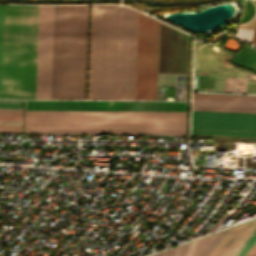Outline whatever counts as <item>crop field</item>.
I'll use <instances>...</instances> for the list:
<instances>
[{
	"instance_id": "obj_2",
	"label": "crop field",
	"mask_w": 256,
	"mask_h": 256,
	"mask_svg": "<svg viewBox=\"0 0 256 256\" xmlns=\"http://www.w3.org/2000/svg\"><path fill=\"white\" fill-rule=\"evenodd\" d=\"M88 5H55L51 99H85Z\"/></svg>"
},
{
	"instance_id": "obj_18",
	"label": "crop field",
	"mask_w": 256,
	"mask_h": 256,
	"mask_svg": "<svg viewBox=\"0 0 256 256\" xmlns=\"http://www.w3.org/2000/svg\"><path fill=\"white\" fill-rule=\"evenodd\" d=\"M23 101L0 100V109L22 110Z\"/></svg>"
},
{
	"instance_id": "obj_21",
	"label": "crop field",
	"mask_w": 256,
	"mask_h": 256,
	"mask_svg": "<svg viewBox=\"0 0 256 256\" xmlns=\"http://www.w3.org/2000/svg\"><path fill=\"white\" fill-rule=\"evenodd\" d=\"M225 231L226 230L220 232L199 256H205L213 248V246L217 243V241L220 239V237L224 234Z\"/></svg>"
},
{
	"instance_id": "obj_23",
	"label": "crop field",
	"mask_w": 256,
	"mask_h": 256,
	"mask_svg": "<svg viewBox=\"0 0 256 256\" xmlns=\"http://www.w3.org/2000/svg\"><path fill=\"white\" fill-rule=\"evenodd\" d=\"M225 217H226V215L223 214L222 217L218 219V222L214 223V224L211 226V228H210L206 233H208V232L214 230V229L222 222V220H223Z\"/></svg>"
},
{
	"instance_id": "obj_19",
	"label": "crop field",
	"mask_w": 256,
	"mask_h": 256,
	"mask_svg": "<svg viewBox=\"0 0 256 256\" xmlns=\"http://www.w3.org/2000/svg\"><path fill=\"white\" fill-rule=\"evenodd\" d=\"M0 124L22 125V118L0 117Z\"/></svg>"
},
{
	"instance_id": "obj_8",
	"label": "crop field",
	"mask_w": 256,
	"mask_h": 256,
	"mask_svg": "<svg viewBox=\"0 0 256 256\" xmlns=\"http://www.w3.org/2000/svg\"><path fill=\"white\" fill-rule=\"evenodd\" d=\"M191 133L256 136V114L192 111Z\"/></svg>"
},
{
	"instance_id": "obj_15",
	"label": "crop field",
	"mask_w": 256,
	"mask_h": 256,
	"mask_svg": "<svg viewBox=\"0 0 256 256\" xmlns=\"http://www.w3.org/2000/svg\"><path fill=\"white\" fill-rule=\"evenodd\" d=\"M193 241L187 244H184L182 246H179L177 248L169 249L163 253L154 255V256H184L192 247L193 245L197 242Z\"/></svg>"
},
{
	"instance_id": "obj_4",
	"label": "crop field",
	"mask_w": 256,
	"mask_h": 256,
	"mask_svg": "<svg viewBox=\"0 0 256 256\" xmlns=\"http://www.w3.org/2000/svg\"><path fill=\"white\" fill-rule=\"evenodd\" d=\"M25 122L187 123V112L25 111Z\"/></svg>"
},
{
	"instance_id": "obj_9",
	"label": "crop field",
	"mask_w": 256,
	"mask_h": 256,
	"mask_svg": "<svg viewBox=\"0 0 256 256\" xmlns=\"http://www.w3.org/2000/svg\"><path fill=\"white\" fill-rule=\"evenodd\" d=\"M54 5H39L36 99H50Z\"/></svg>"
},
{
	"instance_id": "obj_16",
	"label": "crop field",
	"mask_w": 256,
	"mask_h": 256,
	"mask_svg": "<svg viewBox=\"0 0 256 256\" xmlns=\"http://www.w3.org/2000/svg\"><path fill=\"white\" fill-rule=\"evenodd\" d=\"M217 234L200 239L196 245L186 254V256H198Z\"/></svg>"
},
{
	"instance_id": "obj_10",
	"label": "crop field",
	"mask_w": 256,
	"mask_h": 256,
	"mask_svg": "<svg viewBox=\"0 0 256 256\" xmlns=\"http://www.w3.org/2000/svg\"><path fill=\"white\" fill-rule=\"evenodd\" d=\"M256 229V220L229 228L206 256H233Z\"/></svg>"
},
{
	"instance_id": "obj_12",
	"label": "crop field",
	"mask_w": 256,
	"mask_h": 256,
	"mask_svg": "<svg viewBox=\"0 0 256 256\" xmlns=\"http://www.w3.org/2000/svg\"><path fill=\"white\" fill-rule=\"evenodd\" d=\"M24 133L53 134H156L186 136V130L24 129Z\"/></svg>"
},
{
	"instance_id": "obj_1",
	"label": "crop field",
	"mask_w": 256,
	"mask_h": 256,
	"mask_svg": "<svg viewBox=\"0 0 256 256\" xmlns=\"http://www.w3.org/2000/svg\"><path fill=\"white\" fill-rule=\"evenodd\" d=\"M38 5H0V98L35 99Z\"/></svg>"
},
{
	"instance_id": "obj_13",
	"label": "crop field",
	"mask_w": 256,
	"mask_h": 256,
	"mask_svg": "<svg viewBox=\"0 0 256 256\" xmlns=\"http://www.w3.org/2000/svg\"><path fill=\"white\" fill-rule=\"evenodd\" d=\"M192 110L256 113V102L192 99Z\"/></svg>"
},
{
	"instance_id": "obj_3",
	"label": "crop field",
	"mask_w": 256,
	"mask_h": 256,
	"mask_svg": "<svg viewBox=\"0 0 256 256\" xmlns=\"http://www.w3.org/2000/svg\"><path fill=\"white\" fill-rule=\"evenodd\" d=\"M119 6L91 5L88 99H115Z\"/></svg>"
},
{
	"instance_id": "obj_11",
	"label": "crop field",
	"mask_w": 256,
	"mask_h": 256,
	"mask_svg": "<svg viewBox=\"0 0 256 256\" xmlns=\"http://www.w3.org/2000/svg\"><path fill=\"white\" fill-rule=\"evenodd\" d=\"M187 124L25 123V128L186 129Z\"/></svg>"
},
{
	"instance_id": "obj_20",
	"label": "crop field",
	"mask_w": 256,
	"mask_h": 256,
	"mask_svg": "<svg viewBox=\"0 0 256 256\" xmlns=\"http://www.w3.org/2000/svg\"><path fill=\"white\" fill-rule=\"evenodd\" d=\"M22 126L0 125V132L21 133Z\"/></svg>"
},
{
	"instance_id": "obj_5",
	"label": "crop field",
	"mask_w": 256,
	"mask_h": 256,
	"mask_svg": "<svg viewBox=\"0 0 256 256\" xmlns=\"http://www.w3.org/2000/svg\"><path fill=\"white\" fill-rule=\"evenodd\" d=\"M158 21L138 12L135 99L155 100Z\"/></svg>"
},
{
	"instance_id": "obj_25",
	"label": "crop field",
	"mask_w": 256,
	"mask_h": 256,
	"mask_svg": "<svg viewBox=\"0 0 256 256\" xmlns=\"http://www.w3.org/2000/svg\"><path fill=\"white\" fill-rule=\"evenodd\" d=\"M252 43L256 45V30H255V34H254V38H253V42Z\"/></svg>"
},
{
	"instance_id": "obj_14",
	"label": "crop field",
	"mask_w": 256,
	"mask_h": 256,
	"mask_svg": "<svg viewBox=\"0 0 256 256\" xmlns=\"http://www.w3.org/2000/svg\"><path fill=\"white\" fill-rule=\"evenodd\" d=\"M192 98L256 101V96L193 93Z\"/></svg>"
},
{
	"instance_id": "obj_22",
	"label": "crop field",
	"mask_w": 256,
	"mask_h": 256,
	"mask_svg": "<svg viewBox=\"0 0 256 256\" xmlns=\"http://www.w3.org/2000/svg\"><path fill=\"white\" fill-rule=\"evenodd\" d=\"M0 116L22 117V111L0 110Z\"/></svg>"
},
{
	"instance_id": "obj_7",
	"label": "crop field",
	"mask_w": 256,
	"mask_h": 256,
	"mask_svg": "<svg viewBox=\"0 0 256 256\" xmlns=\"http://www.w3.org/2000/svg\"><path fill=\"white\" fill-rule=\"evenodd\" d=\"M188 102L25 101V110L187 111Z\"/></svg>"
},
{
	"instance_id": "obj_6",
	"label": "crop field",
	"mask_w": 256,
	"mask_h": 256,
	"mask_svg": "<svg viewBox=\"0 0 256 256\" xmlns=\"http://www.w3.org/2000/svg\"><path fill=\"white\" fill-rule=\"evenodd\" d=\"M137 11L120 6L116 99H134Z\"/></svg>"
},
{
	"instance_id": "obj_24",
	"label": "crop field",
	"mask_w": 256,
	"mask_h": 256,
	"mask_svg": "<svg viewBox=\"0 0 256 256\" xmlns=\"http://www.w3.org/2000/svg\"><path fill=\"white\" fill-rule=\"evenodd\" d=\"M246 256H256V244Z\"/></svg>"
},
{
	"instance_id": "obj_17",
	"label": "crop field",
	"mask_w": 256,
	"mask_h": 256,
	"mask_svg": "<svg viewBox=\"0 0 256 256\" xmlns=\"http://www.w3.org/2000/svg\"><path fill=\"white\" fill-rule=\"evenodd\" d=\"M255 243L256 231L250 236V238L244 243V245L238 250V252L234 256H245Z\"/></svg>"
}]
</instances>
